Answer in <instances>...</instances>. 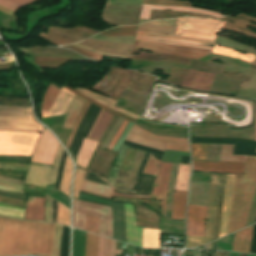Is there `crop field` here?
Masks as SVG:
<instances>
[{"label":"crop field","mask_w":256,"mask_h":256,"mask_svg":"<svg viewBox=\"0 0 256 256\" xmlns=\"http://www.w3.org/2000/svg\"><path fill=\"white\" fill-rule=\"evenodd\" d=\"M107 218H101L99 233L105 236Z\"/></svg>","instance_id":"obj_63"},{"label":"crop field","mask_w":256,"mask_h":256,"mask_svg":"<svg viewBox=\"0 0 256 256\" xmlns=\"http://www.w3.org/2000/svg\"><path fill=\"white\" fill-rule=\"evenodd\" d=\"M54 226L0 217V256H50Z\"/></svg>","instance_id":"obj_1"},{"label":"crop field","mask_w":256,"mask_h":256,"mask_svg":"<svg viewBox=\"0 0 256 256\" xmlns=\"http://www.w3.org/2000/svg\"><path fill=\"white\" fill-rule=\"evenodd\" d=\"M150 9H172V10H181V11L203 13V14H207V15L216 16L217 18L224 17L223 15H219V14L214 13V12H208V11H202V10H196V9L180 8V7H168V6L143 5L142 9H141L140 18L149 19Z\"/></svg>","instance_id":"obj_26"},{"label":"crop field","mask_w":256,"mask_h":256,"mask_svg":"<svg viewBox=\"0 0 256 256\" xmlns=\"http://www.w3.org/2000/svg\"><path fill=\"white\" fill-rule=\"evenodd\" d=\"M166 149L189 153L188 146H183V145L168 144Z\"/></svg>","instance_id":"obj_58"},{"label":"crop field","mask_w":256,"mask_h":256,"mask_svg":"<svg viewBox=\"0 0 256 256\" xmlns=\"http://www.w3.org/2000/svg\"><path fill=\"white\" fill-rule=\"evenodd\" d=\"M143 247L159 248V230L143 228Z\"/></svg>","instance_id":"obj_31"},{"label":"crop field","mask_w":256,"mask_h":256,"mask_svg":"<svg viewBox=\"0 0 256 256\" xmlns=\"http://www.w3.org/2000/svg\"><path fill=\"white\" fill-rule=\"evenodd\" d=\"M61 230H62V226L56 224L51 256H59L60 241H61Z\"/></svg>","instance_id":"obj_43"},{"label":"crop field","mask_w":256,"mask_h":256,"mask_svg":"<svg viewBox=\"0 0 256 256\" xmlns=\"http://www.w3.org/2000/svg\"><path fill=\"white\" fill-rule=\"evenodd\" d=\"M255 219H256V189L254 192V196H253V200H252V204H251V208H250L246 226L254 223Z\"/></svg>","instance_id":"obj_51"},{"label":"crop field","mask_w":256,"mask_h":256,"mask_svg":"<svg viewBox=\"0 0 256 256\" xmlns=\"http://www.w3.org/2000/svg\"><path fill=\"white\" fill-rule=\"evenodd\" d=\"M26 172L21 171H7V170H0V176L2 177H11V178H24Z\"/></svg>","instance_id":"obj_53"},{"label":"crop field","mask_w":256,"mask_h":256,"mask_svg":"<svg viewBox=\"0 0 256 256\" xmlns=\"http://www.w3.org/2000/svg\"><path fill=\"white\" fill-rule=\"evenodd\" d=\"M188 172L189 164H180L175 190L186 191Z\"/></svg>","instance_id":"obj_35"},{"label":"crop field","mask_w":256,"mask_h":256,"mask_svg":"<svg viewBox=\"0 0 256 256\" xmlns=\"http://www.w3.org/2000/svg\"><path fill=\"white\" fill-rule=\"evenodd\" d=\"M212 52L230 56V57H234V58H238V59H242V60H246V61H250V62H252V60L255 58L254 55H250V54L244 55V54L237 53L232 49L217 47V46L214 47Z\"/></svg>","instance_id":"obj_34"},{"label":"crop field","mask_w":256,"mask_h":256,"mask_svg":"<svg viewBox=\"0 0 256 256\" xmlns=\"http://www.w3.org/2000/svg\"><path fill=\"white\" fill-rule=\"evenodd\" d=\"M146 21H149V20H140L139 24L143 23V22H146Z\"/></svg>","instance_id":"obj_75"},{"label":"crop field","mask_w":256,"mask_h":256,"mask_svg":"<svg viewBox=\"0 0 256 256\" xmlns=\"http://www.w3.org/2000/svg\"><path fill=\"white\" fill-rule=\"evenodd\" d=\"M31 107L0 106V130L42 131Z\"/></svg>","instance_id":"obj_3"},{"label":"crop field","mask_w":256,"mask_h":256,"mask_svg":"<svg viewBox=\"0 0 256 256\" xmlns=\"http://www.w3.org/2000/svg\"><path fill=\"white\" fill-rule=\"evenodd\" d=\"M193 160L206 161L207 144H191Z\"/></svg>","instance_id":"obj_42"},{"label":"crop field","mask_w":256,"mask_h":256,"mask_svg":"<svg viewBox=\"0 0 256 256\" xmlns=\"http://www.w3.org/2000/svg\"><path fill=\"white\" fill-rule=\"evenodd\" d=\"M104 251H105V238L99 236L98 256H104Z\"/></svg>","instance_id":"obj_59"},{"label":"crop field","mask_w":256,"mask_h":256,"mask_svg":"<svg viewBox=\"0 0 256 256\" xmlns=\"http://www.w3.org/2000/svg\"><path fill=\"white\" fill-rule=\"evenodd\" d=\"M217 241L213 243L212 250H216Z\"/></svg>","instance_id":"obj_73"},{"label":"crop field","mask_w":256,"mask_h":256,"mask_svg":"<svg viewBox=\"0 0 256 256\" xmlns=\"http://www.w3.org/2000/svg\"><path fill=\"white\" fill-rule=\"evenodd\" d=\"M224 24L225 22L220 20L179 18L176 35L215 40L216 31H220Z\"/></svg>","instance_id":"obj_5"},{"label":"crop field","mask_w":256,"mask_h":256,"mask_svg":"<svg viewBox=\"0 0 256 256\" xmlns=\"http://www.w3.org/2000/svg\"><path fill=\"white\" fill-rule=\"evenodd\" d=\"M14 66H15L14 62L0 64V71L10 69V68H14Z\"/></svg>","instance_id":"obj_65"},{"label":"crop field","mask_w":256,"mask_h":256,"mask_svg":"<svg viewBox=\"0 0 256 256\" xmlns=\"http://www.w3.org/2000/svg\"><path fill=\"white\" fill-rule=\"evenodd\" d=\"M97 242L98 236L87 233L85 256H97Z\"/></svg>","instance_id":"obj_40"},{"label":"crop field","mask_w":256,"mask_h":256,"mask_svg":"<svg viewBox=\"0 0 256 256\" xmlns=\"http://www.w3.org/2000/svg\"><path fill=\"white\" fill-rule=\"evenodd\" d=\"M256 186V157L247 156L244 175H236L228 233L245 226Z\"/></svg>","instance_id":"obj_2"},{"label":"crop field","mask_w":256,"mask_h":256,"mask_svg":"<svg viewBox=\"0 0 256 256\" xmlns=\"http://www.w3.org/2000/svg\"><path fill=\"white\" fill-rule=\"evenodd\" d=\"M120 168L113 167L108 180L114 185Z\"/></svg>","instance_id":"obj_62"},{"label":"crop field","mask_w":256,"mask_h":256,"mask_svg":"<svg viewBox=\"0 0 256 256\" xmlns=\"http://www.w3.org/2000/svg\"><path fill=\"white\" fill-rule=\"evenodd\" d=\"M211 246H212V243H211V244H209V250H211Z\"/></svg>","instance_id":"obj_78"},{"label":"crop field","mask_w":256,"mask_h":256,"mask_svg":"<svg viewBox=\"0 0 256 256\" xmlns=\"http://www.w3.org/2000/svg\"><path fill=\"white\" fill-rule=\"evenodd\" d=\"M96 141H91V140H83V143L81 145L80 151L77 155L76 163L79 165L83 166L86 168L96 146H97Z\"/></svg>","instance_id":"obj_25"},{"label":"crop field","mask_w":256,"mask_h":256,"mask_svg":"<svg viewBox=\"0 0 256 256\" xmlns=\"http://www.w3.org/2000/svg\"><path fill=\"white\" fill-rule=\"evenodd\" d=\"M175 28V19H172L147 22L139 25L137 30L175 35Z\"/></svg>","instance_id":"obj_21"},{"label":"crop field","mask_w":256,"mask_h":256,"mask_svg":"<svg viewBox=\"0 0 256 256\" xmlns=\"http://www.w3.org/2000/svg\"><path fill=\"white\" fill-rule=\"evenodd\" d=\"M230 253H233V252H230ZM235 254H238V253H235ZM231 256H238V255L231 254Z\"/></svg>","instance_id":"obj_77"},{"label":"crop field","mask_w":256,"mask_h":256,"mask_svg":"<svg viewBox=\"0 0 256 256\" xmlns=\"http://www.w3.org/2000/svg\"><path fill=\"white\" fill-rule=\"evenodd\" d=\"M137 26L114 27L107 31L101 32L98 35L104 36H135Z\"/></svg>","instance_id":"obj_33"},{"label":"crop field","mask_w":256,"mask_h":256,"mask_svg":"<svg viewBox=\"0 0 256 256\" xmlns=\"http://www.w3.org/2000/svg\"><path fill=\"white\" fill-rule=\"evenodd\" d=\"M0 11L6 12V13L11 14V15L14 14V11L9 10V9H6V8H4V7H1V6H0ZM13 16H14V15H13Z\"/></svg>","instance_id":"obj_70"},{"label":"crop field","mask_w":256,"mask_h":256,"mask_svg":"<svg viewBox=\"0 0 256 256\" xmlns=\"http://www.w3.org/2000/svg\"><path fill=\"white\" fill-rule=\"evenodd\" d=\"M132 125H133L132 123H129V125H128V127L126 128L125 132L123 133L121 139L119 140L118 144H117L116 147L114 148V151H118V150H119V148H120L121 145H122L123 140L126 138V136H127L128 132H129L130 128L132 127Z\"/></svg>","instance_id":"obj_60"},{"label":"crop field","mask_w":256,"mask_h":256,"mask_svg":"<svg viewBox=\"0 0 256 256\" xmlns=\"http://www.w3.org/2000/svg\"><path fill=\"white\" fill-rule=\"evenodd\" d=\"M62 151L63 149L59 145L56 156L54 158L52 170L51 167L48 166L30 165L27 170L24 183L43 187H45L46 184L55 183Z\"/></svg>","instance_id":"obj_7"},{"label":"crop field","mask_w":256,"mask_h":256,"mask_svg":"<svg viewBox=\"0 0 256 256\" xmlns=\"http://www.w3.org/2000/svg\"><path fill=\"white\" fill-rule=\"evenodd\" d=\"M113 187L105 186L89 181H83L81 191L91 193L94 195H98L104 198L110 199L111 196H122V197H141V198H150V196L144 195H131V194H119V193H112Z\"/></svg>","instance_id":"obj_17"},{"label":"crop field","mask_w":256,"mask_h":256,"mask_svg":"<svg viewBox=\"0 0 256 256\" xmlns=\"http://www.w3.org/2000/svg\"><path fill=\"white\" fill-rule=\"evenodd\" d=\"M240 256H248V255L240 254Z\"/></svg>","instance_id":"obj_79"},{"label":"crop field","mask_w":256,"mask_h":256,"mask_svg":"<svg viewBox=\"0 0 256 256\" xmlns=\"http://www.w3.org/2000/svg\"><path fill=\"white\" fill-rule=\"evenodd\" d=\"M84 173H85L84 170L77 168L75 182H74V197H76V198H78V196H79Z\"/></svg>","instance_id":"obj_48"},{"label":"crop field","mask_w":256,"mask_h":256,"mask_svg":"<svg viewBox=\"0 0 256 256\" xmlns=\"http://www.w3.org/2000/svg\"><path fill=\"white\" fill-rule=\"evenodd\" d=\"M28 164L0 163V169L26 171Z\"/></svg>","instance_id":"obj_50"},{"label":"crop field","mask_w":256,"mask_h":256,"mask_svg":"<svg viewBox=\"0 0 256 256\" xmlns=\"http://www.w3.org/2000/svg\"><path fill=\"white\" fill-rule=\"evenodd\" d=\"M9 1L23 6V5H25V4H27V3L31 2V1H34V0H9Z\"/></svg>","instance_id":"obj_68"},{"label":"crop field","mask_w":256,"mask_h":256,"mask_svg":"<svg viewBox=\"0 0 256 256\" xmlns=\"http://www.w3.org/2000/svg\"><path fill=\"white\" fill-rule=\"evenodd\" d=\"M255 141H256V124H255Z\"/></svg>","instance_id":"obj_76"},{"label":"crop field","mask_w":256,"mask_h":256,"mask_svg":"<svg viewBox=\"0 0 256 256\" xmlns=\"http://www.w3.org/2000/svg\"><path fill=\"white\" fill-rule=\"evenodd\" d=\"M210 183L191 181L188 204L208 206Z\"/></svg>","instance_id":"obj_18"},{"label":"crop field","mask_w":256,"mask_h":256,"mask_svg":"<svg viewBox=\"0 0 256 256\" xmlns=\"http://www.w3.org/2000/svg\"><path fill=\"white\" fill-rule=\"evenodd\" d=\"M187 192L175 191L172 218L184 219Z\"/></svg>","instance_id":"obj_27"},{"label":"crop field","mask_w":256,"mask_h":256,"mask_svg":"<svg viewBox=\"0 0 256 256\" xmlns=\"http://www.w3.org/2000/svg\"><path fill=\"white\" fill-rule=\"evenodd\" d=\"M124 207L127 242L142 247V228L136 227L134 210L130 204L124 203Z\"/></svg>","instance_id":"obj_15"},{"label":"crop field","mask_w":256,"mask_h":256,"mask_svg":"<svg viewBox=\"0 0 256 256\" xmlns=\"http://www.w3.org/2000/svg\"><path fill=\"white\" fill-rule=\"evenodd\" d=\"M0 5L4 6L6 8L12 9L14 11H16L17 8L21 7L19 5H16V4L6 1V0H0Z\"/></svg>","instance_id":"obj_61"},{"label":"crop field","mask_w":256,"mask_h":256,"mask_svg":"<svg viewBox=\"0 0 256 256\" xmlns=\"http://www.w3.org/2000/svg\"><path fill=\"white\" fill-rule=\"evenodd\" d=\"M173 163L160 162L150 155L144 172L157 175L151 198L164 199L161 201V213L166 217V199Z\"/></svg>","instance_id":"obj_6"},{"label":"crop field","mask_w":256,"mask_h":256,"mask_svg":"<svg viewBox=\"0 0 256 256\" xmlns=\"http://www.w3.org/2000/svg\"><path fill=\"white\" fill-rule=\"evenodd\" d=\"M88 105H89V102H86V104H85V106H84V108H83L81 114H80L79 117L77 118V120H76V122H75V125H74V128H73V131H72V134H71V136H70V138H69V140H68V142H67L66 148H68V146H69V144H70V142H71V140H72V138H73V136H74L76 127H77L78 123L81 121V119H82V117H83V115H84V113H85V111H86Z\"/></svg>","instance_id":"obj_55"},{"label":"crop field","mask_w":256,"mask_h":256,"mask_svg":"<svg viewBox=\"0 0 256 256\" xmlns=\"http://www.w3.org/2000/svg\"><path fill=\"white\" fill-rule=\"evenodd\" d=\"M60 89L56 88L55 86L51 85L49 86L44 98L43 103L41 107V111L50 110L58 92Z\"/></svg>","instance_id":"obj_38"},{"label":"crop field","mask_w":256,"mask_h":256,"mask_svg":"<svg viewBox=\"0 0 256 256\" xmlns=\"http://www.w3.org/2000/svg\"><path fill=\"white\" fill-rule=\"evenodd\" d=\"M58 145L52 134L45 128L31 161L52 163Z\"/></svg>","instance_id":"obj_11"},{"label":"crop field","mask_w":256,"mask_h":256,"mask_svg":"<svg viewBox=\"0 0 256 256\" xmlns=\"http://www.w3.org/2000/svg\"><path fill=\"white\" fill-rule=\"evenodd\" d=\"M112 117L113 114L103 110L89 138L98 141Z\"/></svg>","instance_id":"obj_28"},{"label":"crop field","mask_w":256,"mask_h":256,"mask_svg":"<svg viewBox=\"0 0 256 256\" xmlns=\"http://www.w3.org/2000/svg\"><path fill=\"white\" fill-rule=\"evenodd\" d=\"M218 188L216 194V204H215V218H214V234L213 241L218 239L219 229H220V219H221V209L223 203L224 185L226 175L218 174Z\"/></svg>","instance_id":"obj_20"},{"label":"crop field","mask_w":256,"mask_h":256,"mask_svg":"<svg viewBox=\"0 0 256 256\" xmlns=\"http://www.w3.org/2000/svg\"><path fill=\"white\" fill-rule=\"evenodd\" d=\"M1 182H7V183H16L21 185V181L19 180H14V179H9V178H0Z\"/></svg>","instance_id":"obj_67"},{"label":"crop field","mask_w":256,"mask_h":256,"mask_svg":"<svg viewBox=\"0 0 256 256\" xmlns=\"http://www.w3.org/2000/svg\"><path fill=\"white\" fill-rule=\"evenodd\" d=\"M75 94L62 87L50 111L41 112L42 117L65 114Z\"/></svg>","instance_id":"obj_19"},{"label":"crop field","mask_w":256,"mask_h":256,"mask_svg":"<svg viewBox=\"0 0 256 256\" xmlns=\"http://www.w3.org/2000/svg\"><path fill=\"white\" fill-rule=\"evenodd\" d=\"M234 179L235 175H227L219 238L226 235L229 214L232 205Z\"/></svg>","instance_id":"obj_16"},{"label":"crop field","mask_w":256,"mask_h":256,"mask_svg":"<svg viewBox=\"0 0 256 256\" xmlns=\"http://www.w3.org/2000/svg\"><path fill=\"white\" fill-rule=\"evenodd\" d=\"M207 207L189 205L187 235L204 236Z\"/></svg>","instance_id":"obj_12"},{"label":"crop field","mask_w":256,"mask_h":256,"mask_svg":"<svg viewBox=\"0 0 256 256\" xmlns=\"http://www.w3.org/2000/svg\"><path fill=\"white\" fill-rule=\"evenodd\" d=\"M85 214L112 218L111 207L73 200V227L84 230Z\"/></svg>","instance_id":"obj_9"},{"label":"crop field","mask_w":256,"mask_h":256,"mask_svg":"<svg viewBox=\"0 0 256 256\" xmlns=\"http://www.w3.org/2000/svg\"><path fill=\"white\" fill-rule=\"evenodd\" d=\"M101 112H102V109H101V111H100V113H99V115H98V117H97L96 121L98 120V118H99V116H100ZM96 121H95V123H96ZM95 123H94V125H95ZM94 125H93V127H94ZM93 127H92V129H93ZM92 129H91V131H92ZM91 131L89 132V134H88L87 138L89 137V135H90Z\"/></svg>","instance_id":"obj_72"},{"label":"crop field","mask_w":256,"mask_h":256,"mask_svg":"<svg viewBox=\"0 0 256 256\" xmlns=\"http://www.w3.org/2000/svg\"><path fill=\"white\" fill-rule=\"evenodd\" d=\"M57 222L69 225V211L60 203H58Z\"/></svg>","instance_id":"obj_47"},{"label":"crop field","mask_w":256,"mask_h":256,"mask_svg":"<svg viewBox=\"0 0 256 256\" xmlns=\"http://www.w3.org/2000/svg\"><path fill=\"white\" fill-rule=\"evenodd\" d=\"M52 206L53 199L49 196H45V211H46V221L52 222Z\"/></svg>","instance_id":"obj_52"},{"label":"crop field","mask_w":256,"mask_h":256,"mask_svg":"<svg viewBox=\"0 0 256 256\" xmlns=\"http://www.w3.org/2000/svg\"><path fill=\"white\" fill-rule=\"evenodd\" d=\"M0 189L7 190V191H12V192L23 193L22 188L18 185H10V184L0 183Z\"/></svg>","instance_id":"obj_57"},{"label":"crop field","mask_w":256,"mask_h":256,"mask_svg":"<svg viewBox=\"0 0 256 256\" xmlns=\"http://www.w3.org/2000/svg\"><path fill=\"white\" fill-rule=\"evenodd\" d=\"M217 256H229V252H217Z\"/></svg>","instance_id":"obj_71"},{"label":"crop field","mask_w":256,"mask_h":256,"mask_svg":"<svg viewBox=\"0 0 256 256\" xmlns=\"http://www.w3.org/2000/svg\"><path fill=\"white\" fill-rule=\"evenodd\" d=\"M127 124H128V121L124 120L123 124L121 125L120 129L118 130L117 134L115 135L114 139L112 140L111 144L109 145L108 150L112 151L114 145L116 144L117 140L119 139L121 133L124 131Z\"/></svg>","instance_id":"obj_56"},{"label":"crop field","mask_w":256,"mask_h":256,"mask_svg":"<svg viewBox=\"0 0 256 256\" xmlns=\"http://www.w3.org/2000/svg\"><path fill=\"white\" fill-rule=\"evenodd\" d=\"M123 122V119L119 118L117 124L115 125V127L113 128V130L111 131V133L109 134L108 138L106 139V141L103 144L104 149H107L109 143L111 142L113 136L115 135L117 129L119 128V126L121 125V123Z\"/></svg>","instance_id":"obj_54"},{"label":"crop field","mask_w":256,"mask_h":256,"mask_svg":"<svg viewBox=\"0 0 256 256\" xmlns=\"http://www.w3.org/2000/svg\"><path fill=\"white\" fill-rule=\"evenodd\" d=\"M121 97H124L126 99L132 100L137 103H140L142 105L146 99V96L140 95L138 93L132 92L127 89H125V91L122 93Z\"/></svg>","instance_id":"obj_46"},{"label":"crop field","mask_w":256,"mask_h":256,"mask_svg":"<svg viewBox=\"0 0 256 256\" xmlns=\"http://www.w3.org/2000/svg\"><path fill=\"white\" fill-rule=\"evenodd\" d=\"M85 230L98 234V217L86 215Z\"/></svg>","instance_id":"obj_45"},{"label":"crop field","mask_w":256,"mask_h":256,"mask_svg":"<svg viewBox=\"0 0 256 256\" xmlns=\"http://www.w3.org/2000/svg\"><path fill=\"white\" fill-rule=\"evenodd\" d=\"M63 87L67 88L68 90H70L71 92L75 93L76 95H78V96H80V97L86 99L87 101H89V102H91V103H93V104H95V105H97V106H99V107H101V108H103V109H105V110H107V111L113 113V114H116V115H118V116H121V117H123V118H125V119H127V120H129V121H131V122H135V119H133V118H131V117H129V116H127V115H125V114H123V113H121V112H119V111L113 109V108L103 106V105H101V104H99V103H97V102L91 100L90 98H88V97H86V96H84V95H82V94H80V93L74 91L73 89H71V88L68 87V86H63Z\"/></svg>","instance_id":"obj_41"},{"label":"crop field","mask_w":256,"mask_h":256,"mask_svg":"<svg viewBox=\"0 0 256 256\" xmlns=\"http://www.w3.org/2000/svg\"><path fill=\"white\" fill-rule=\"evenodd\" d=\"M111 243H112V240L106 238V251H105V256H109V255H110Z\"/></svg>","instance_id":"obj_66"},{"label":"crop field","mask_w":256,"mask_h":256,"mask_svg":"<svg viewBox=\"0 0 256 256\" xmlns=\"http://www.w3.org/2000/svg\"><path fill=\"white\" fill-rule=\"evenodd\" d=\"M86 233L73 229L72 256H84Z\"/></svg>","instance_id":"obj_30"},{"label":"crop field","mask_w":256,"mask_h":256,"mask_svg":"<svg viewBox=\"0 0 256 256\" xmlns=\"http://www.w3.org/2000/svg\"><path fill=\"white\" fill-rule=\"evenodd\" d=\"M106 236L112 238V219H110V218H108V222H107Z\"/></svg>","instance_id":"obj_64"},{"label":"crop field","mask_w":256,"mask_h":256,"mask_svg":"<svg viewBox=\"0 0 256 256\" xmlns=\"http://www.w3.org/2000/svg\"><path fill=\"white\" fill-rule=\"evenodd\" d=\"M122 252H123V250L115 251V241L113 240L112 254H111V256H116V254H122Z\"/></svg>","instance_id":"obj_69"},{"label":"crop field","mask_w":256,"mask_h":256,"mask_svg":"<svg viewBox=\"0 0 256 256\" xmlns=\"http://www.w3.org/2000/svg\"><path fill=\"white\" fill-rule=\"evenodd\" d=\"M71 170H72L71 161L67 156L66 165H65L61 186H60V190L67 195H69V182H70Z\"/></svg>","instance_id":"obj_39"},{"label":"crop field","mask_w":256,"mask_h":256,"mask_svg":"<svg viewBox=\"0 0 256 256\" xmlns=\"http://www.w3.org/2000/svg\"><path fill=\"white\" fill-rule=\"evenodd\" d=\"M36 63L40 67L45 68H58L61 65L71 61L72 58H41V57H34Z\"/></svg>","instance_id":"obj_32"},{"label":"crop field","mask_w":256,"mask_h":256,"mask_svg":"<svg viewBox=\"0 0 256 256\" xmlns=\"http://www.w3.org/2000/svg\"><path fill=\"white\" fill-rule=\"evenodd\" d=\"M144 155H145V152H142L139 150L137 151L123 189H128V190L133 189L136 174Z\"/></svg>","instance_id":"obj_29"},{"label":"crop field","mask_w":256,"mask_h":256,"mask_svg":"<svg viewBox=\"0 0 256 256\" xmlns=\"http://www.w3.org/2000/svg\"><path fill=\"white\" fill-rule=\"evenodd\" d=\"M63 47H68V48H70V49H72V50H74V51H76V52H78V53H80V54H83V55H85V56H87V57H90V58H92V59H94V60H97V61H100V62H101L102 59H103V56H100V55H98V54L89 52V51L84 50V49H81V48H78V47L73 46V45L63 46Z\"/></svg>","instance_id":"obj_49"},{"label":"crop field","mask_w":256,"mask_h":256,"mask_svg":"<svg viewBox=\"0 0 256 256\" xmlns=\"http://www.w3.org/2000/svg\"><path fill=\"white\" fill-rule=\"evenodd\" d=\"M85 102L86 100L75 95L66 112L67 116L64 121V125H63L64 128H67V129L73 128L74 122L78 117V115L80 114Z\"/></svg>","instance_id":"obj_23"},{"label":"crop field","mask_w":256,"mask_h":256,"mask_svg":"<svg viewBox=\"0 0 256 256\" xmlns=\"http://www.w3.org/2000/svg\"><path fill=\"white\" fill-rule=\"evenodd\" d=\"M252 227L253 225L235 233L232 251L248 253L250 247Z\"/></svg>","instance_id":"obj_24"},{"label":"crop field","mask_w":256,"mask_h":256,"mask_svg":"<svg viewBox=\"0 0 256 256\" xmlns=\"http://www.w3.org/2000/svg\"><path fill=\"white\" fill-rule=\"evenodd\" d=\"M39 134L0 131V155H31Z\"/></svg>","instance_id":"obj_4"},{"label":"crop field","mask_w":256,"mask_h":256,"mask_svg":"<svg viewBox=\"0 0 256 256\" xmlns=\"http://www.w3.org/2000/svg\"><path fill=\"white\" fill-rule=\"evenodd\" d=\"M216 186H217V174H212L210 202H209L205 237L187 236V243L185 248L197 247L212 241Z\"/></svg>","instance_id":"obj_10"},{"label":"crop field","mask_w":256,"mask_h":256,"mask_svg":"<svg viewBox=\"0 0 256 256\" xmlns=\"http://www.w3.org/2000/svg\"><path fill=\"white\" fill-rule=\"evenodd\" d=\"M25 219L44 221V199L33 196L28 197Z\"/></svg>","instance_id":"obj_22"},{"label":"crop field","mask_w":256,"mask_h":256,"mask_svg":"<svg viewBox=\"0 0 256 256\" xmlns=\"http://www.w3.org/2000/svg\"><path fill=\"white\" fill-rule=\"evenodd\" d=\"M221 145L208 144L207 161H219Z\"/></svg>","instance_id":"obj_44"},{"label":"crop field","mask_w":256,"mask_h":256,"mask_svg":"<svg viewBox=\"0 0 256 256\" xmlns=\"http://www.w3.org/2000/svg\"><path fill=\"white\" fill-rule=\"evenodd\" d=\"M24 209L0 203V215L22 219Z\"/></svg>","instance_id":"obj_37"},{"label":"crop field","mask_w":256,"mask_h":256,"mask_svg":"<svg viewBox=\"0 0 256 256\" xmlns=\"http://www.w3.org/2000/svg\"><path fill=\"white\" fill-rule=\"evenodd\" d=\"M214 76L205 72L189 70L181 86L209 91Z\"/></svg>","instance_id":"obj_14"},{"label":"crop field","mask_w":256,"mask_h":256,"mask_svg":"<svg viewBox=\"0 0 256 256\" xmlns=\"http://www.w3.org/2000/svg\"><path fill=\"white\" fill-rule=\"evenodd\" d=\"M245 163H214L193 161L194 170L243 174Z\"/></svg>","instance_id":"obj_13"},{"label":"crop field","mask_w":256,"mask_h":256,"mask_svg":"<svg viewBox=\"0 0 256 256\" xmlns=\"http://www.w3.org/2000/svg\"><path fill=\"white\" fill-rule=\"evenodd\" d=\"M178 166H179V164H174L171 181H170L169 196H168V203H167V218H169V219H171L172 200H173L175 182H176V177H177V172H178Z\"/></svg>","instance_id":"obj_36"},{"label":"crop field","mask_w":256,"mask_h":256,"mask_svg":"<svg viewBox=\"0 0 256 256\" xmlns=\"http://www.w3.org/2000/svg\"><path fill=\"white\" fill-rule=\"evenodd\" d=\"M121 249H126V244L121 243Z\"/></svg>","instance_id":"obj_74"},{"label":"crop field","mask_w":256,"mask_h":256,"mask_svg":"<svg viewBox=\"0 0 256 256\" xmlns=\"http://www.w3.org/2000/svg\"><path fill=\"white\" fill-rule=\"evenodd\" d=\"M135 48L150 50L157 53L195 58V59H199L205 55H208L211 52L209 50L193 49V48H186V47L139 42V41H136Z\"/></svg>","instance_id":"obj_8"}]
</instances>
